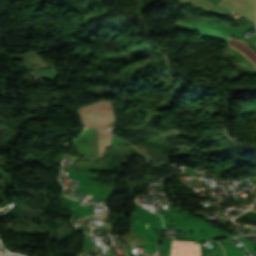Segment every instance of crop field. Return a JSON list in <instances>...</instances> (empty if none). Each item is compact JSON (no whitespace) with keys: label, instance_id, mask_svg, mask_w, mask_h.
<instances>
[{"label":"crop field","instance_id":"obj_4","mask_svg":"<svg viewBox=\"0 0 256 256\" xmlns=\"http://www.w3.org/2000/svg\"><path fill=\"white\" fill-rule=\"evenodd\" d=\"M0 256H5V255L0 254Z\"/></svg>","mask_w":256,"mask_h":256},{"label":"crop field","instance_id":"obj_3","mask_svg":"<svg viewBox=\"0 0 256 256\" xmlns=\"http://www.w3.org/2000/svg\"><path fill=\"white\" fill-rule=\"evenodd\" d=\"M235 222L256 226V213L248 211L234 219Z\"/></svg>","mask_w":256,"mask_h":256},{"label":"crop field","instance_id":"obj_1","mask_svg":"<svg viewBox=\"0 0 256 256\" xmlns=\"http://www.w3.org/2000/svg\"><path fill=\"white\" fill-rule=\"evenodd\" d=\"M170 256H200L199 245L194 242L173 241Z\"/></svg>","mask_w":256,"mask_h":256},{"label":"crop field","instance_id":"obj_2","mask_svg":"<svg viewBox=\"0 0 256 256\" xmlns=\"http://www.w3.org/2000/svg\"><path fill=\"white\" fill-rule=\"evenodd\" d=\"M229 47L238 50L256 66V53L245 42L230 38Z\"/></svg>","mask_w":256,"mask_h":256}]
</instances>
